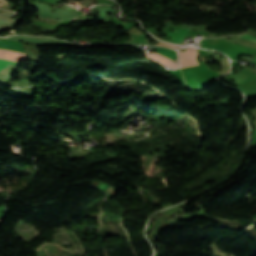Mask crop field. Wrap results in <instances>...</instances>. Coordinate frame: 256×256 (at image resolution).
<instances>
[{"mask_svg": "<svg viewBox=\"0 0 256 256\" xmlns=\"http://www.w3.org/2000/svg\"><path fill=\"white\" fill-rule=\"evenodd\" d=\"M0 57L12 59V60H18V61L26 60L27 58L25 53L4 51V50H0ZM11 62L18 63L17 61H11V60L0 58V73L6 74Z\"/></svg>", "mask_w": 256, "mask_h": 256, "instance_id": "crop-field-1", "label": "crop field"}, {"mask_svg": "<svg viewBox=\"0 0 256 256\" xmlns=\"http://www.w3.org/2000/svg\"><path fill=\"white\" fill-rule=\"evenodd\" d=\"M181 68L196 65L197 48L187 47L186 52L178 51Z\"/></svg>", "mask_w": 256, "mask_h": 256, "instance_id": "crop-field-2", "label": "crop field"}, {"mask_svg": "<svg viewBox=\"0 0 256 256\" xmlns=\"http://www.w3.org/2000/svg\"><path fill=\"white\" fill-rule=\"evenodd\" d=\"M144 56H146L147 58L156 61L164 66L170 67V68H177L178 67V63H175L174 61L158 54V53H142Z\"/></svg>", "mask_w": 256, "mask_h": 256, "instance_id": "crop-field-3", "label": "crop field"}, {"mask_svg": "<svg viewBox=\"0 0 256 256\" xmlns=\"http://www.w3.org/2000/svg\"><path fill=\"white\" fill-rule=\"evenodd\" d=\"M188 31H190V29L177 28L174 29L173 32H169V34L172 37L174 43H179L182 41L183 37L186 35Z\"/></svg>", "mask_w": 256, "mask_h": 256, "instance_id": "crop-field-4", "label": "crop field"}, {"mask_svg": "<svg viewBox=\"0 0 256 256\" xmlns=\"http://www.w3.org/2000/svg\"><path fill=\"white\" fill-rule=\"evenodd\" d=\"M239 37L245 38V39H248V40H252V41H255V42H256V37L250 36V35H248V34L241 35V36H239Z\"/></svg>", "mask_w": 256, "mask_h": 256, "instance_id": "crop-field-5", "label": "crop field"}, {"mask_svg": "<svg viewBox=\"0 0 256 256\" xmlns=\"http://www.w3.org/2000/svg\"><path fill=\"white\" fill-rule=\"evenodd\" d=\"M158 45H165V46H169L170 48H175V47H179L181 48V46H176V45H172V44H168V43H157Z\"/></svg>", "mask_w": 256, "mask_h": 256, "instance_id": "crop-field-6", "label": "crop field"}, {"mask_svg": "<svg viewBox=\"0 0 256 256\" xmlns=\"http://www.w3.org/2000/svg\"><path fill=\"white\" fill-rule=\"evenodd\" d=\"M116 191H117V189H115L113 187H111L110 189L107 190V192H110L111 195H114Z\"/></svg>", "mask_w": 256, "mask_h": 256, "instance_id": "crop-field-7", "label": "crop field"}, {"mask_svg": "<svg viewBox=\"0 0 256 256\" xmlns=\"http://www.w3.org/2000/svg\"><path fill=\"white\" fill-rule=\"evenodd\" d=\"M0 216H3V215L0 214Z\"/></svg>", "mask_w": 256, "mask_h": 256, "instance_id": "crop-field-8", "label": "crop field"}]
</instances>
